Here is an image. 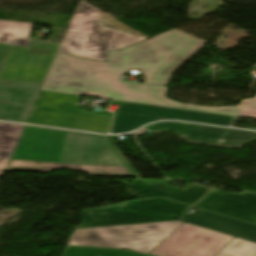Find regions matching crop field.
<instances>
[{
	"label": "crop field",
	"instance_id": "8",
	"mask_svg": "<svg viewBox=\"0 0 256 256\" xmlns=\"http://www.w3.org/2000/svg\"><path fill=\"white\" fill-rule=\"evenodd\" d=\"M234 236L184 223L150 254L158 256H214Z\"/></svg>",
	"mask_w": 256,
	"mask_h": 256
},
{
	"label": "crop field",
	"instance_id": "21",
	"mask_svg": "<svg viewBox=\"0 0 256 256\" xmlns=\"http://www.w3.org/2000/svg\"><path fill=\"white\" fill-rule=\"evenodd\" d=\"M12 46L0 44V72Z\"/></svg>",
	"mask_w": 256,
	"mask_h": 256
},
{
	"label": "crop field",
	"instance_id": "13",
	"mask_svg": "<svg viewBox=\"0 0 256 256\" xmlns=\"http://www.w3.org/2000/svg\"><path fill=\"white\" fill-rule=\"evenodd\" d=\"M171 182V180L136 179L132 184L139 198L164 197L190 205L211 189L192 183L182 190L168 185Z\"/></svg>",
	"mask_w": 256,
	"mask_h": 256
},
{
	"label": "crop field",
	"instance_id": "9",
	"mask_svg": "<svg viewBox=\"0 0 256 256\" xmlns=\"http://www.w3.org/2000/svg\"><path fill=\"white\" fill-rule=\"evenodd\" d=\"M59 46L33 40L29 48L13 46L0 78L44 81Z\"/></svg>",
	"mask_w": 256,
	"mask_h": 256
},
{
	"label": "crop field",
	"instance_id": "22",
	"mask_svg": "<svg viewBox=\"0 0 256 256\" xmlns=\"http://www.w3.org/2000/svg\"><path fill=\"white\" fill-rule=\"evenodd\" d=\"M116 136H109L108 142L110 146L117 152V154L121 157V159L124 161V163L132 170V172L136 175L137 178H140V176L137 174V172L131 167V165L125 160V158L121 155L119 150L114 146ZM130 170V171H131Z\"/></svg>",
	"mask_w": 256,
	"mask_h": 256
},
{
	"label": "crop field",
	"instance_id": "17",
	"mask_svg": "<svg viewBox=\"0 0 256 256\" xmlns=\"http://www.w3.org/2000/svg\"><path fill=\"white\" fill-rule=\"evenodd\" d=\"M149 256L119 249L67 246L63 256Z\"/></svg>",
	"mask_w": 256,
	"mask_h": 256
},
{
	"label": "crop field",
	"instance_id": "24",
	"mask_svg": "<svg viewBox=\"0 0 256 256\" xmlns=\"http://www.w3.org/2000/svg\"><path fill=\"white\" fill-rule=\"evenodd\" d=\"M256 130V129H255Z\"/></svg>",
	"mask_w": 256,
	"mask_h": 256
},
{
	"label": "crop field",
	"instance_id": "18",
	"mask_svg": "<svg viewBox=\"0 0 256 256\" xmlns=\"http://www.w3.org/2000/svg\"><path fill=\"white\" fill-rule=\"evenodd\" d=\"M215 256H256V243L235 237Z\"/></svg>",
	"mask_w": 256,
	"mask_h": 256
},
{
	"label": "crop field",
	"instance_id": "3",
	"mask_svg": "<svg viewBox=\"0 0 256 256\" xmlns=\"http://www.w3.org/2000/svg\"><path fill=\"white\" fill-rule=\"evenodd\" d=\"M144 40L103 26L101 11L80 1L58 52L106 61L108 50L118 51Z\"/></svg>",
	"mask_w": 256,
	"mask_h": 256
},
{
	"label": "crop field",
	"instance_id": "16",
	"mask_svg": "<svg viewBox=\"0 0 256 256\" xmlns=\"http://www.w3.org/2000/svg\"><path fill=\"white\" fill-rule=\"evenodd\" d=\"M23 126L0 123V171H4Z\"/></svg>",
	"mask_w": 256,
	"mask_h": 256
},
{
	"label": "crop field",
	"instance_id": "15",
	"mask_svg": "<svg viewBox=\"0 0 256 256\" xmlns=\"http://www.w3.org/2000/svg\"><path fill=\"white\" fill-rule=\"evenodd\" d=\"M34 24L0 20V43L28 46Z\"/></svg>",
	"mask_w": 256,
	"mask_h": 256
},
{
	"label": "crop field",
	"instance_id": "14",
	"mask_svg": "<svg viewBox=\"0 0 256 256\" xmlns=\"http://www.w3.org/2000/svg\"><path fill=\"white\" fill-rule=\"evenodd\" d=\"M179 221L192 223L256 242V225L202 209L197 208L193 214L184 213Z\"/></svg>",
	"mask_w": 256,
	"mask_h": 256
},
{
	"label": "crop field",
	"instance_id": "20",
	"mask_svg": "<svg viewBox=\"0 0 256 256\" xmlns=\"http://www.w3.org/2000/svg\"><path fill=\"white\" fill-rule=\"evenodd\" d=\"M237 107L239 109V116L256 118V97L242 100L241 104Z\"/></svg>",
	"mask_w": 256,
	"mask_h": 256
},
{
	"label": "crop field",
	"instance_id": "7",
	"mask_svg": "<svg viewBox=\"0 0 256 256\" xmlns=\"http://www.w3.org/2000/svg\"><path fill=\"white\" fill-rule=\"evenodd\" d=\"M110 103L118 105L115 110L116 114L111 133L134 130L143 124L161 119H178L226 126H230L234 119V117L226 115L131 104L119 101H110Z\"/></svg>",
	"mask_w": 256,
	"mask_h": 256
},
{
	"label": "crop field",
	"instance_id": "11",
	"mask_svg": "<svg viewBox=\"0 0 256 256\" xmlns=\"http://www.w3.org/2000/svg\"><path fill=\"white\" fill-rule=\"evenodd\" d=\"M42 84L0 80V120L24 123Z\"/></svg>",
	"mask_w": 256,
	"mask_h": 256
},
{
	"label": "crop field",
	"instance_id": "2",
	"mask_svg": "<svg viewBox=\"0 0 256 256\" xmlns=\"http://www.w3.org/2000/svg\"><path fill=\"white\" fill-rule=\"evenodd\" d=\"M106 136L25 126L5 171L133 177L105 142Z\"/></svg>",
	"mask_w": 256,
	"mask_h": 256
},
{
	"label": "crop field",
	"instance_id": "1",
	"mask_svg": "<svg viewBox=\"0 0 256 256\" xmlns=\"http://www.w3.org/2000/svg\"><path fill=\"white\" fill-rule=\"evenodd\" d=\"M206 43L174 29L119 52L109 51L107 62L57 53L41 90L236 115L233 106L180 104L165 98L167 88L119 82L122 74L137 69L144 83L167 85L173 72Z\"/></svg>",
	"mask_w": 256,
	"mask_h": 256
},
{
	"label": "crop field",
	"instance_id": "5",
	"mask_svg": "<svg viewBox=\"0 0 256 256\" xmlns=\"http://www.w3.org/2000/svg\"><path fill=\"white\" fill-rule=\"evenodd\" d=\"M78 96L41 91L27 123L107 133L112 117L76 106Z\"/></svg>",
	"mask_w": 256,
	"mask_h": 256
},
{
	"label": "crop field",
	"instance_id": "19",
	"mask_svg": "<svg viewBox=\"0 0 256 256\" xmlns=\"http://www.w3.org/2000/svg\"><path fill=\"white\" fill-rule=\"evenodd\" d=\"M102 23H103V25L111 27V28L119 29V30H122V31H126V32H129V33H133V34L145 37L144 35L138 33L137 31L133 30L132 28H130L128 26H126L125 24L121 23L120 21L114 19L113 17L109 16L108 14H106L104 12H102Z\"/></svg>",
	"mask_w": 256,
	"mask_h": 256
},
{
	"label": "crop field",
	"instance_id": "10",
	"mask_svg": "<svg viewBox=\"0 0 256 256\" xmlns=\"http://www.w3.org/2000/svg\"><path fill=\"white\" fill-rule=\"evenodd\" d=\"M147 129L174 132L189 143L237 149H242L245 143L256 141L255 132L192 125L181 122L155 123L135 133L138 136Z\"/></svg>",
	"mask_w": 256,
	"mask_h": 256
},
{
	"label": "crop field",
	"instance_id": "23",
	"mask_svg": "<svg viewBox=\"0 0 256 256\" xmlns=\"http://www.w3.org/2000/svg\"><path fill=\"white\" fill-rule=\"evenodd\" d=\"M2 172H0V176H1Z\"/></svg>",
	"mask_w": 256,
	"mask_h": 256
},
{
	"label": "crop field",
	"instance_id": "12",
	"mask_svg": "<svg viewBox=\"0 0 256 256\" xmlns=\"http://www.w3.org/2000/svg\"><path fill=\"white\" fill-rule=\"evenodd\" d=\"M195 207L256 224V194L247 191L235 193L214 189Z\"/></svg>",
	"mask_w": 256,
	"mask_h": 256
},
{
	"label": "crop field",
	"instance_id": "4",
	"mask_svg": "<svg viewBox=\"0 0 256 256\" xmlns=\"http://www.w3.org/2000/svg\"><path fill=\"white\" fill-rule=\"evenodd\" d=\"M182 224L170 221L76 229L68 245L126 248L147 254Z\"/></svg>",
	"mask_w": 256,
	"mask_h": 256
},
{
	"label": "crop field",
	"instance_id": "6",
	"mask_svg": "<svg viewBox=\"0 0 256 256\" xmlns=\"http://www.w3.org/2000/svg\"><path fill=\"white\" fill-rule=\"evenodd\" d=\"M188 207L163 198L133 200L119 207L82 210L83 224L76 228L177 220Z\"/></svg>",
	"mask_w": 256,
	"mask_h": 256
}]
</instances>
